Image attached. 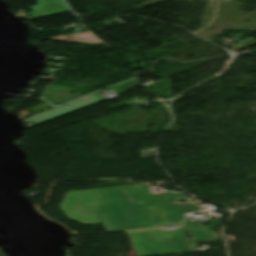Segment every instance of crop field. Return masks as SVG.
<instances>
[{"label":"crop field","mask_w":256,"mask_h":256,"mask_svg":"<svg viewBox=\"0 0 256 256\" xmlns=\"http://www.w3.org/2000/svg\"><path fill=\"white\" fill-rule=\"evenodd\" d=\"M181 193L154 194L148 184L74 191L65 194L60 208L83 224L103 223L107 231L188 225L184 212L199 211L196 204H177Z\"/></svg>","instance_id":"8a807250"},{"label":"crop field","mask_w":256,"mask_h":256,"mask_svg":"<svg viewBox=\"0 0 256 256\" xmlns=\"http://www.w3.org/2000/svg\"><path fill=\"white\" fill-rule=\"evenodd\" d=\"M184 231L191 234L187 240ZM133 237L137 256H154L196 251V244L205 239L219 241L217 233L209 226H183L178 231L150 229L137 232H127Z\"/></svg>","instance_id":"ac0d7876"},{"label":"crop field","mask_w":256,"mask_h":256,"mask_svg":"<svg viewBox=\"0 0 256 256\" xmlns=\"http://www.w3.org/2000/svg\"><path fill=\"white\" fill-rule=\"evenodd\" d=\"M37 5L30 6V10L28 14L32 19L68 12V8L65 6L62 0H36Z\"/></svg>","instance_id":"34b2d1b8"},{"label":"crop field","mask_w":256,"mask_h":256,"mask_svg":"<svg viewBox=\"0 0 256 256\" xmlns=\"http://www.w3.org/2000/svg\"><path fill=\"white\" fill-rule=\"evenodd\" d=\"M49 39H53V41H65V42L101 43L99 40H97L95 37H93L89 33L68 35V36H59V37H51Z\"/></svg>","instance_id":"412701ff"}]
</instances>
